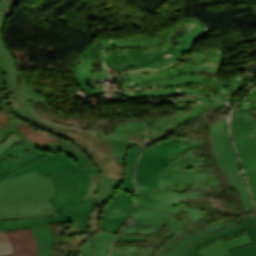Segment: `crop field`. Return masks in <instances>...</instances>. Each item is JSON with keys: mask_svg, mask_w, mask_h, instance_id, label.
Wrapping results in <instances>:
<instances>
[{"mask_svg": "<svg viewBox=\"0 0 256 256\" xmlns=\"http://www.w3.org/2000/svg\"><path fill=\"white\" fill-rule=\"evenodd\" d=\"M205 117H206V116H203V118H205ZM206 120H208V119L206 118ZM204 123L207 124L208 122L205 121Z\"/></svg>", "mask_w": 256, "mask_h": 256, "instance_id": "ae1a2a85", "label": "crop field"}, {"mask_svg": "<svg viewBox=\"0 0 256 256\" xmlns=\"http://www.w3.org/2000/svg\"><path fill=\"white\" fill-rule=\"evenodd\" d=\"M50 176L54 193L49 202L57 215L92 210L100 172L74 177L71 170H68Z\"/></svg>", "mask_w": 256, "mask_h": 256, "instance_id": "f4fd0767", "label": "crop field"}, {"mask_svg": "<svg viewBox=\"0 0 256 256\" xmlns=\"http://www.w3.org/2000/svg\"><path fill=\"white\" fill-rule=\"evenodd\" d=\"M231 132L256 204V117L238 108L232 116Z\"/></svg>", "mask_w": 256, "mask_h": 256, "instance_id": "d8731c3e", "label": "crop field"}, {"mask_svg": "<svg viewBox=\"0 0 256 256\" xmlns=\"http://www.w3.org/2000/svg\"><path fill=\"white\" fill-rule=\"evenodd\" d=\"M141 146H135L131 148L127 153V173L125 176V179L121 185V189L125 190L126 192L134 195L135 192V186L133 182V176H134V168L140 153Z\"/></svg>", "mask_w": 256, "mask_h": 256, "instance_id": "733c2abd", "label": "crop field"}, {"mask_svg": "<svg viewBox=\"0 0 256 256\" xmlns=\"http://www.w3.org/2000/svg\"><path fill=\"white\" fill-rule=\"evenodd\" d=\"M251 243L246 231L226 236L200 250L203 256H230L227 251L235 247Z\"/></svg>", "mask_w": 256, "mask_h": 256, "instance_id": "5142ce71", "label": "crop field"}, {"mask_svg": "<svg viewBox=\"0 0 256 256\" xmlns=\"http://www.w3.org/2000/svg\"><path fill=\"white\" fill-rule=\"evenodd\" d=\"M210 141L219 167L229 179V183L238 189L246 211H254L227 132L210 137Z\"/></svg>", "mask_w": 256, "mask_h": 256, "instance_id": "3316defc", "label": "crop field"}, {"mask_svg": "<svg viewBox=\"0 0 256 256\" xmlns=\"http://www.w3.org/2000/svg\"><path fill=\"white\" fill-rule=\"evenodd\" d=\"M195 124H196V125H192V126H191V128H193V130H194L195 128H200V127H199V123H195Z\"/></svg>", "mask_w": 256, "mask_h": 256, "instance_id": "730fd06b", "label": "crop field"}, {"mask_svg": "<svg viewBox=\"0 0 256 256\" xmlns=\"http://www.w3.org/2000/svg\"><path fill=\"white\" fill-rule=\"evenodd\" d=\"M210 127L212 130L210 136L227 131L226 123H225V114L220 117L218 122H216L215 124L214 123L210 124Z\"/></svg>", "mask_w": 256, "mask_h": 256, "instance_id": "214f88e0", "label": "crop field"}, {"mask_svg": "<svg viewBox=\"0 0 256 256\" xmlns=\"http://www.w3.org/2000/svg\"><path fill=\"white\" fill-rule=\"evenodd\" d=\"M183 133H188V132H183ZM183 133H182V134H183Z\"/></svg>", "mask_w": 256, "mask_h": 256, "instance_id": "750c4746", "label": "crop field"}, {"mask_svg": "<svg viewBox=\"0 0 256 256\" xmlns=\"http://www.w3.org/2000/svg\"><path fill=\"white\" fill-rule=\"evenodd\" d=\"M240 221L242 223L227 227L225 229H222L221 231H217L203 239L192 243V245L197 250L215 240L221 239L226 235H230L246 229L253 244L238 247L236 249L228 251V253L231 256H256V216H253L249 219H242Z\"/></svg>", "mask_w": 256, "mask_h": 256, "instance_id": "22f410ed", "label": "crop field"}, {"mask_svg": "<svg viewBox=\"0 0 256 256\" xmlns=\"http://www.w3.org/2000/svg\"><path fill=\"white\" fill-rule=\"evenodd\" d=\"M103 209L98 207L97 205L94 206L90 216H89V224H90V233L89 235H93L96 233L99 229L101 216L103 213Z\"/></svg>", "mask_w": 256, "mask_h": 256, "instance_id": "bc2a9ffb", "label": "crop field"}, {"mask_svg": "<svg viewBox=\"0 0 256 256\" xmlns=\"http://www.w3.org/2000/svg\"><path fill=\"white\" fill-rule=\"evenodd\" d=\"M202 141L190 139L167 140L145 150L136 171L137 186L158 188L157 178L166 165L184 151L201 146Z\"/></svg>", "mask_w": 256, "mask_h": 256, "instance_id": "dd49c442", "label": "crop field"}, {"mask_svg": "<svg viewBox=\"0 0 256 256\" xmlns=\"http://www.w3.org/2000/svg\"><path fill=\"white\" fill-rule=\"evenodd\" d=\"M78 256H93L91 238L83 244Z\"/></svg>", "mask_w": 256, "mask_h": 256, "instance_id": "00972430", "label": "crop field"}, {"mask_svg": "<svg viewBox=\"0 0 256 256\" xmlns=\"http://www.w3.org/2000/svg\"><path fill=\"white\" fill-rule=\"evenodd\" d=\"M68 169L72 170L74 176L98 172L94 165L78 168L77 165L64 152H61L42 157L32 163L14 170L12 173L5 177L0 175V180L15 177L17 175L25 174L35 170H37L41 176H44Z\"/></svg>", "mask_w": 256, "mask_h": 256, "instance_id": "28ad6ade", "label": "crop field"}, {"mask_svg": "<svg viewBox=\"0 0 256 256\" xmlns=\"http://www.w3.org/2000/svg\"><path fill=\"white\" fill-rule=\"evenodd\" d=\"M133 199L134 196L125 191L116 190L104 207L105 211L100 225L101 230L116 234L132 209Z\"/></svg>", "mask_w": 256, "mask_h": 256, "instance_id": "d1516ede", "label": "crop field"}, {"mask_svg": "<svg viewBox=\"0 0 256 256\" xmlns=\"http://www.w3.org/2000/svg\"><path fill=\"white\" fill-rule=\"evenodd\" d=\"M249 112H252V113H256V109H251V110H247Z\"/></svg>", "mask_w": 256, "mask_h": 256, "instance_id": "eef30255", "label": "crop field"}, {"mask_svg": "<svg viewBox=\"0 0 256 256\" xmlns=\"http://www.w3.org/2000/svg\"><path fill=\"white\" fill-rule=\"evenodd\" d=\"M12 242L14 253L0 256H37V247L30 230L7 232Z\"/></svg>", "mask_w": 256, "mask_h": 256, "instance_id": "d9b57169", "label": "crop field"}, {"mask_svg": "<svg viewBox=\"0 0 256 256\" xmlns=\"http://www.w3.org/2000/svg\"><path fill=\"white\" fill-rule=\"evenodd\" d=\"M195 135V134H192V136ZM195 136H198V135H195ZM195 138V137H194Z\"/></svg>", "mask_w": 256, "mask_h": 256, "instance_id": "d3111659", "label": "crop field"}, {"mask_svg": "<svg viewBox=\"0 0 256 256\" xmlns=\"http://www.w3.org/2000/svg\"><path fill=\"white\" fill-rule=\"evenodd\" d=\"M115 234L107 232H97L92 236L94 256H107L110 255V249Z\"/></svg>", "mask_w": 256, "mask_h": 256, "instance_id": "4a817a6b", "label": "crop field"}, {"mask_svg": "<svg viewBox=\"0 0 256 256\" xmlns=\"http://www.w3.org/2000/svg\"><path fill=\"white\" fill-rule=\"evenodd\" d=\"M55 146L30 149L23 142L15 144L0 156V174L3 176L14 169L38 159L41 156L64 151L79 167L91 165L82 149L69 142H56Z\"/></svg>", "mask_w": 256, "mask_h": 256, "instance_id": "5a996713", "label": "crop field"}, {"mask_svg": "<svg viewBox=\"0 0 256 256\" xmlns=\"http://www.w3.org/2000/svg\"><path fill=\"white\" fill-rule=\"evenodd\" d=\"M193 152L186 151L167 165L159 176V189L137 187L136 206L174 214L175 212L179 213V210L185 211L192 217L185 218L189 221L196 218L205 219V215L198 207L187 208L180 206L185 203L186 197H191L188 199L191 200L197 199L199 196L202 197L205 194L221 196L218 193L213 194V192L209 191L211 186L214 189L220 188V186L215 175H212V169L205 171L203 168H196L197 165H201L205 160L195 157L196 155L194 156Z\"/></svg>", "mask_w": 256, "mask_h": 256, "instance_id": "34b2d1b8", "label": "crop field"}, {"mask_svg": "<svg viewBox=\"0 0 256 256\" xmlns=\"http://www.w3.org/2000/svg\"><path fill=\"white\" fill-rule=\"evenodd\" d=\"M13 251L6 232L0 233V254Z\"/></svg>", "mask_w": 256, "mask_h": 256, "instance_id": "92a150f3", "label": "crop field"}, {"mask_svg": "<svg viewBox=\"0 0 256 256\" xmlns=\"http://www.w3.org/2000/svg\"><path fill=\"white\" fill-rule=\"evenodd\" d=\"M51 179L36 171L0 181V220L55 214Z\"/></svg>", "mask_w": 256, "mask_h": 256, "instance_id": "412701ff", "label": "crop field"}, {"mask_svg": "<svg viewBox=\"0 0 256 256\" xmlns=\"http://www.w3.org/2000/svg\"><path fill=\"white\" fill-rule=\"evenodd\" d=\"M129 221L134 223H127L116 238L112 256H202L191 242L240 223L235 216L207 227L199 219L189 222L179 215L140 207Z\"/></svg>", "mask_w": 256, "mask_h": 256, "instance_id": "ac0d7876", "label": "crop field"}, {"mask_svg": "<svg viewBox=\"0 0 256 256\" xmlns=\"http://www.w3.org/2000/svg\"><path fill=\"white\" fill-rule=\"evenodd\" d=\"M14 121V127L12 129L22 141L30 148L51 146V142L64 141V139L27 122H24L17 118H12Z\"/></svg>", "mask_w": 256, "mask_h": 256, "instance_id": "cbeb9de0", "label": "crop field"}, {"mask_svg": "<svg viewBox=\"0 0 256 256\" xmlns=\"http://www.w3.org/2000/svg\"><path fill=\"white\" fill-rule=\"evenodd\" d=\"M17 142H21L17 135H11L3 145H0V155Z\"/></svg>", "mask_w": 256, "mask_h": 256, "instance_id": "dafd665d", "label": "crop field"}, {"mask_svg": "<svg viewBox=\"0 0 256 256\" xmlns=\"http://www.w3.org/2000/svg\"><path fill=\"white\" fill-rule=\"evenodd\" d=\"M0 88H6V82L1 71H0Z\"/></svg>", "mask_w": 256, "mask_h": 256, "instance_id": "4177f3b9", "label": "crop field"}, {"mask_svg": "<svg viewBox=\"0 0 256 256\" xmlns=\"http://www.w3.org/2000/svg\"><path fill=\"white\" fill-rule=\"evenodd\" d=\"M18 1L19 0L0 1V68L7 81V105L14 116L81 146L92 163L101 171L99 190L95 204L103 208L114 191L120 187L124 179L127 150L134 145L140 144L103 137L93 133L143 143L146 124L141 121L130 123V119L102 118L96 119L97 126L83 129L88 126L89 123L83 125L76 121H70L69 125H73V127L93 132L89 133L51 124L37 117L28 106L34 111L33 105L36 103H44L47 108H50L51 105L45 101L27 81L21 86L17 85V74L20 73H18L15 60L3 39L6 19L10 17ZM15 98H20L28 106L18 99L14 100ZM9 100L14 101L9 102Z\"/></svg>", "mask_w": 256, "mask_h": 256, "instance_id": "8a807250", "label": "crop field"}, {"mask_svg": "<svg viewBox=\"0 0 256 256\" xmlns=\"http://www.w3.org/2000/svg\"><path fill=\"white\" fill-rule=\"evenodd\" d=\"M5 129L0 130V141L3 139V137L9 132V130L11 129L12 125H7L6 124Z\"/></svg>", "mask_w": 256, "mask_h": 256, "instance_id": "a9b5d70f", "label": "crop field"}, {"mask_svg": "<svg viewBox=\"0 0 256 256\" xmlns=\"http://www.w3.org/2000/svg\"><path fill=\"white\" fill-rule=\"evenodd\" d=\"M90 213L63 215L48 218L0 222V232L31 229L38 247V256H53L55 237L49 223L72 221L74 234L89 233L88 215Z\"/></svg>", "mask_w": 256, "mask_h": 256, "instance_id": "e52e79f7", "label": "crop field"}]
</instances>
